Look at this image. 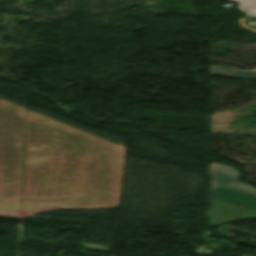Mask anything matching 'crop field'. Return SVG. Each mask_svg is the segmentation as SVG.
Listing matches in <instances>:
<instances>
[{
    "instance_id": "obj_4",
    "label": "crop field",
    "mask_w": 256,
    "mask_h": 256,
    "mask_svg": "<svg viewBox=\"0 0 256 256\" xmlns=\"http://www.w3.org/2000/svg\"><path fill=\"white\" fill-rule=\"evenodd\" d=\"M239 2L238 10L245 11L247 17H256V0H229Z\"/></svg>"
},
{
    "instance_id": "obj_5",
    "label": "crop field",
    "mask_w": 256,
    "mask_h": 256,
    "mask_svg": "<svg viewBox=\"0 0 256 256\" xmlns=\"http://www.w3.org/2000/svg\"><path fill=\"white\" fill-rule=\"evenodd\" d=\"M75 243H77L81 247H83L85 249H89V250H97V251L109 252L110 248H111V247H107V246H98V245H92V244H88V243H79V242H75ZM104 248H108V250H106Z\"/></svg>"
},
{
    "instance_id": "obj_3",
    "label": "crop field",
    "mask_w": 256,
    "mask_h": 256,
    "mask_svg": "<svg viewBox=\"0 0 256 256\" xmlns=\"http://www.w3.org/2000/svg\"><path fill=\"white\" fill-rule=\"evenodd\" d=\"M209 73L256 81V69L251 71H241L218 66H211Z\"/></svg>"
},
{
    "instance_id": "obj_2",
    "label": "crop field",
    "mask_w": 256,
    "mask_h": 256,
    "mask_svg": "<svg viewBox=\"0 0 256 256\" xmlns=\"http://www.w3.org/2000/svg\"><path fill=\"white\" fill-rule=\"evenodd\" d=\"M238 179L239 173L235 172L233 168L217 165L214 163L211 164V182L256 192L255 189H252L245 184L239 183Z\"/></svg>"
},
{
    "instance_id": "obj_1",
    "label": "crop field",
    "mask_w": 256,
    "mask_h": 256,
    "mask_svg": "<svg viewBox=\"0 0 256 256\" xmlns=\"http://www.w3.org/2000/svg\"><path fill=\"white\" fill-rule=\"evenodd\" d=\"M211 199L256 210V194L211 183Z\"/></svg>"
}]
</instances>
